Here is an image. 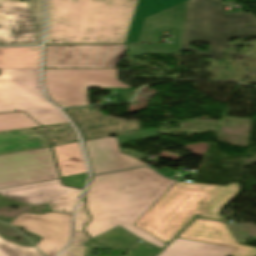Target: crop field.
Returning <instances> with one entry per match:
<instances>
[{"instance_id":"crop-field-1","label":"crop field","mask_w":256,"mask_h":256,"mask_svg":"<svg viewBox=\"0 0 256 256\" xmlns=\"http://www.w3.org/2000/svg\"><path fill=\"white\" fill-rule=\"evenodd\" d=\"M175 183L147 167L91 179L86 208L91 217L85 231L94 237L117 225L163 248L166 244L133 224Z\"/></svg>"},{"instance_id":"crop-field-2","label":"crop field","mask_w":256,"mask_h":256,"mask_svg":"<svg viewBox=\"0 0 256 256\" xmlns=\"http://www.w3.org/2000/svg\"><path fill=\"white\" fill-rule=\"evenodd\" d=\"M46 44L124 43L138 0H46Z\"/></svg>"},{"instance_id":"crop-field-3","label":"crop field","mask_w":256,"mask_h":256,"mask_svg":"<svg viewBox=\"0 0 256 256\" xmlns=\"http://www.w3.org/2000/svg\"><path fill=\"white\" fill-rule=\"evenodd\" d=\"M239 188L176 182L134 225L167 244L195 215L224 221L219 212Z\"/></svg>"},{"instance_id":"crop-field-4","label":"crop field","mask_w":256,"mask_h":256,"mask_svg":"<svg viewBox=\"0 0 256 256\" xmlns=\"http://www.w3.org/2000/svg\"><path fill=\"white\" fill-rule=\"evenodd\" d=\"M255 35L256 17L251 13H225L220 0H189L185 50L221 59L229 37ZM198 41L208 44L206 52L188 47Z\"/></svg>"},{"instance_id":"crop-field-5","label":"crop field","mask_w":256,"mask_h":256,"mask_svg":"<svg viewBox=\"0 0 256 256\" xmlns=\"http://www.w3.org/2000/svg\"><path fill=\"white\" fill-rule=\"evenodd\" d=\"M23 110L41 126L67 122L44 97L39 69H0V112Z\"/></svg>"},{"instance_id":"crop-field-6","label":"crop field","mask_w":256,"mask_h":256,"mask_svg":"<svg viewBox=\"0 0 256 256\" xmlns=\"http://www.w3.org/2000/svg\"><path fill=\"white\" fill-rule=\"evenodd\" d=\"M117 69H45L44 85L60 107L88 105V88L129 87Z\"/></svg>"},{"instance_id":"crop-field-7","label":"crop field","mask_w":256,"mask_h":256,"mask_svg":"<svg viewBox=\"0 0 256 256\" xmlns=\"http://www.w3.org/2000/svg\"><path fill=\"white\" fill-rule=\"evenodd\" d=\"M43 31L42 0H0V45H40Z\"/></svg>"},{"instance_id":"crop-field-8","label":"crop field","mask_w":256,"mask_h":256,"mask_svg":"<svg viewBox=\"0 0 256 256\" xmlns=\"http://www.w3.org/2000/svg\"><path fill=\"white\" fill-rule=\"evenodd\" d=\"M81 191L64 187L57 179L0 190V203L28 206L48 203L52 211L72 215Z\"/></svg>"},{"instance_id":"crop-field-9","label":"crop field","mask_w":256,"mask_h":256,"mask_svg":"<svg viewBox=\"0 0 256 256\" xmlns=\"http://www.w3.org/2000/svg\"><path fill=\"white\" fill-rule=\"evenodd\" d=\"M126 45L46 46L45 68H117Z\"/></svg>"},{"instance_id":"crop-field-10","label":"crop field","mask_w":256,"mask_h":256,"mask_svg":"<svg viewBox=\"0 0 256 256\" xmlns=\"http://www.w3.org/2000/svg\"><path fill=\"white\" fill-rule=\"evenodd\" d=\"M57 177L50 148L0 157V188Z\"/></svg>"},{"instance_id":"crop-field-11","label":"crop field","mask_w":256,"mask_h":256,"mask_svg":"<svg viewBox=\"0 0 256 256\" xmlns=\"http://www.w3.org/2000/svg\"><path fill=\"white\" fill-rule=\"evenodd\" d=\"M186 2L145 20L139 43H160L162 30H174L173 45H127V56L181 51Z\"/></svg>"},{"instance_id":"crop-field-12","label":"crop field","mask_w":256,"mask_h":256,"mask_svg":"<svg viewBox=\"0 0 256 256\" xmlns=\"http://www.w3.org/2000/svg\"><path fill=\"white\" fill-rule=\"evenodd\" d=\"M71 217L54 213L46 215L25 213L10 224L22 226L25 230L41 236L43 239L36 247L47 256H54L69 240Z\"/></svg>"},{"instance_id":"crop-field-13","label":"crop field","mask_w":256,"mask_h":256,"mask_svg":"<svg viewBox=\"0 0 256 256\" xmlns=\"http://www.w3.org/2000/svg\"><path fill=\"white\" fill-rule=\"evenodd\" d=\"M64 110L79 128L84 140L139 130L138 121L127 122L108 118L91 107Z\"/></svg>"},{"instance_id":"crop-field-14","label":"crop field","mask_w":256,"mask_h":256,"mask_svg":"<svg viewBox=\"0 0 256 256\" xmlns=\"http://www.w3.org/2000/svg\"><path fill=\"white\" fill-rule=\"evenodd\" d=\"M178 237L237 247L230 256H256V248L238 244L223 222L197 218Z\"/></svg>"},{"instance_id":"crop-field-15","label":"crop field","mask_w":256,"mask_h":256,"mask_svg":"<svg viewBox=\"0 0 256 256\" xmlns=\"http://www.w3.org/2000/svg\"><path fill=\"white\" fill-rule=\"evenodd\" d=\"M94 174L147 165L119 151L116 138H102L84 142Z\"/></svg>"},{"instance_id":"crop-field-16","label":"crop field","mask_w":256,"mask_h":256,"mask_svg":"<svg viewBox=\"0 0 256 256\" xmlns=\"http://www.w3.org/2000/svg\"><path fill=\"white\" fill-rule=\"evenodd\" d=\"M48 146L40 127L0 132V155Z\"/></svg>"},{"instance_id":"crop-field-17","label":"crop field","mask_w":256,"mask_h":256,"mask_svg":"<svg viewBox=\"0 0 256 256\" xmlns=\"http://www.w3.org/2000/svg\"><path fill=\"white\" fill-rule=\"evenodd\" d=\"M234 249L176 238L159 256H229Z\"/></svg>"},{"instance_id":"crop-field-18","label":"crop field","mask_w":256,"mask_h":256,"mask_svg":"<svg viewBox=\"0 0 256 256\" xmlns=\"http://www.w3.org/2000/svg\"><path fill=\"white\" fill-rule=\"evenodd\" d=\"M187 0H139L125 43H138L145 18Z\"/></svg>"},{"instance_id":"crop-field-19","label":"crop field","mask_w":256,"mask_h":256,"mask_svg":"<svg viewBox=\"0 0 256 256\" xmlns=\"http://www.w3.org/2000/svg\"><path fill=\"white\" fill-rule=\"evenodd\" d=\"M53 148L62 177L87 172L79 142Z\"/></svg>"},{"instance_id":"crop-field-20","label":"crop field","mask_w":256,"mask_h":256,"mask_svg":"<svg viewBox=\"0 0 256 256\" xmlns=\"http://www.w3.org/2000/svg\"><path fill=\"white\" fill-rule=\"evenodd\" d=\"M40 47L2 48L3 68H39Z\"/></svg>"},{"instance_id":"crop-field-21","label":"crop field","mask_w":256,"mask_h":256,"mask_svg":"<svg viewBox=\"0 0 256 256\" xmlns=\"http://www.w3.org/2000/svg\"><path fill=\"white\" fill-rule=\"evenodd\" d=\"M94 240L111 249H130L141 244V242H139V238L135 237L134 235L130 234L129 232L125 231L120 227Z\"/></svg>"},{"instance_id":"crop-field-22","label":"crop field","mask_w":256,"mask_h":256,"mask_svg":"<svg viewBox=\"0 0 256 256\" xmlns=\"http://www.w3.org/2000/svg\"><path fill=\"white\" fill-rule=\"evenodd\" d=\"M70 125L64 123L44 126L53 146L79 141L75 130Z\"/></svg>"},{"instance_id":"crop-field-23","label":"crop field","mask_w":256,"mask_h":256,"mask_svg":"<svg viewBox=\"0 0 256 256\" xmlns=\"http://www.w3.org/2000/svg\"><path fill=\"white\" fill-rule=\"evenodd\" d=\"M39 126L23 112L0 114V131Z\"/></svg>"},{"instance_id":"crop-field-24","label":"crop field","mask_w":256,"mask_h":256,"mask_svg":"<svg viewBox=\"0 0 256 256\" xmlns=\"http://www.w3.org/2000/svg\"><path fill=\"white\" fill-rule=\"evenodd\" d=\"M0 256H44L34 247H22L0 237Z\"/></svg>"},{"instance_id":"crop-field-25","label":"crop field","mask_w":256,"mask_h":256,"mask_svg":"<svg viewBox=\"0 0 256 256\" xmlns=\"http://www.w3.org/2000/svg\"><path fill=\"white\" fill-rule=\"evenodd\" d=\"M83 205H84V201L82 200L76 214L74 237L71 243L74 245H82L83 242L86 239H88L87 235L81 230L89 219L83 208Z\"/></svg>"},{"instance_id":"crop-field-26","label":"crop field","mask_w":256,"mask_h":256,"mask_svg":"<svg viewBox=\"0 0 256 256\" xmlns=\"http://www.w3.org/2000/svg\"><path fill=\"white\" fill-rule=\"evenodd\" d=\"M161 252L162 250L143 243L133 250H128L124 256H158Z\"/></svg>"},{"instance_id":"crop-field-27","label":"crop field","mask_w":256,"mask_h":256,"mask_svg":"<svg viewBox=\"0 0 256 256\" xmlns=\"http://www.w3.org/2000/svg\"><path fill=\"white\" fill-rule=\"evenodd\" d=\"M158 133L155 131V129L152 130H146L136 133H130L125 135H119L117 136V140L119 144L123 143H129L130 140L133 139H139V138H145V137H151V136H157Z\"/></svg>"},{"instance_id":"crop-field-28","label":"crop field","mask_w":256,"mask_h":256,"mask_svg":"<svg viewBox=\"0 0 256 256\" xmlns=\"http://www.w3.org/2000/svg\"><path fill=\"white\" fill-rule=\"evenodd\" d=\"M87 174L62 178L65 185L81 188L84 187Z\"/></svg>"},{"instance_id":"crop-field-29","label":"crop field","mask_w":256,"mask_h":256,"mask_svg":"<svg viewBox=\"0 0 256 256\" xmlns=\"http://www.w3.org/2000/svg\"><path fill=\"white\" fill-rule=\"evenodd\" d=\"M85 247L70 246L60 256H83Z\"/></svg>"},{"instance_id":"crop-field-30","label":"crop field","mask_w":256,"mask_h":256,"mask_svg":"<svg viewBox=\"0 0 256 256\" xmlns=\"http://www.w3.org/2000/svg\"><path fill=\"white\" fill-rule=\"evenodd\" d=\"M87 244L91 245L92 247H94L96 249H107V248H105V247H103V246H101V245H99V244H97V243H95L91 240L88 241Z\"/></svg>"},{"instance_id":"crop-field-31","label":"crop field","mask_w":256,"mask_h":256,"mask_svg":"<svg viewBox=\"0 0 256 256\" xmlns=\"http://www.w3.org/2000/svg\"><path fill=\"white\" fill-rule=\"evenodd\" d=\"M84 256H93V250L90 247H86Z\"/></svg>"},{"instance_id":"crop-field-32","label":"crop field","mask_w":256,"mask_h":256,"mask_svg":"<svg viewBox=\"0 0 256 256\" xmlns=\"http://www.w3.org/2000/svg\"><path fill=\"white\" fill-rule=\"evenodd\" d=\"M0 68H2V61H1V48H0Z\"/></svg>"}]
</instances>
